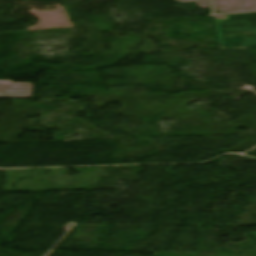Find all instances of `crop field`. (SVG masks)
I'll use <instances>...</instances> for the list:
<instances>
[{
	"label": "crop field",
	"mask_w": 256,
	"mask_h": 256,
	"mask_svg": "<svg viewBox=\"0 0 256 256\" xmlns=\"http://www.w3.org/2000/svg\"><path fill=\"white\" fill-rule=\"evenodd\" d=\"M221 48L256 47V12L214 17Z\"/></svg>",
	"instance_id": "1"
},
{
	"label": "crop field",
	"mask_w": 256,
	"mask_h": 256,
	"mask_svg": "<svg viewBox=\"0 0 256 256\" xmlns=\"http://www.w3.org/2000/svg\"><path fill=\"white\" fill-rule=\"evenodd\" d=\"M31 91V83L0 81V98H30Z\"/></svg>",
	"instance_id": "2"
}]
</instances>
